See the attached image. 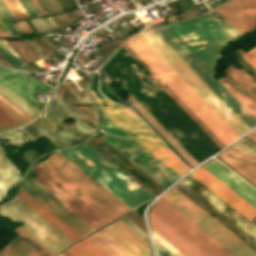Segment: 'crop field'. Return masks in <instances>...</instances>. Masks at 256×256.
<instances>
[{
    "instance_id": "31",
    "label": "crop field",
    "mask_w": 256,
    "mask_h": 256,
    "mask_svg": "<svg viewBox=\"0 0 256 256\" xmlns=\"http://www.w3.org/2000/svg\"><path fill=\"white\" fill-rule=\"evenodd\" d=\"M18 180L17 169L3 157L0 151V199L4 197L7 189Z\"/></svg>"
},
{
    "instance_id": "9",
    "label": "crop field",
    "mask_w": 256,
    "mask_h": 256,
    "mask_svg": "<svg viewBox=\"0 0 256 256\" xmlns=\"http://www.w3.org/2000/svg\"><path fill=\"white\" fill-rule=\"evenodd\" d=\"M141 35L153 48L178 72V74L203 98V100L228 124L240 137L248 132L232 114L199 82V80L166 48L151 32ZM150 45V46H151Z\"/></svg>"
},
{
    "instance_id": "45",
    "label": "crop field",
    "mask_w": 256,
    "mask_h": 256,
    "mask_svg": "<svg viewBox=\"0 0 256 256\" xmlns=\"http://www.w3.org/2000/svg\"><path fill=\"white\" fill-rule=\"evenodd\" d=\"M25 129L28 131V133L33 137V139H34L35 141L38 140V139H40L41 137H43V136L40 134V132H39L33 125H31V126L25 128Z\"/></svg>"
},
{
    "instance_id": "26",
    "label": "crop field",
    "mask_w": 256,
    "mask_h": 256,
    "mask_svg": "<svg viewBox=\"0 0 256 256\" xmlns=\"http://www.w3.org/2000/svg\"><path fill=\"white\" fill-rule=\"evenodd\" d=\"M17 196L25 201L28 205H30L34 210H36L39 214H41L73 241L82 237L50 210H48L45 206H43L40 202H38L34 197L27 193L24 189L21 188Z\"/></svg>"
},
{
    "instance_id": "39",
    "label": "crop field",
    "mask_w": 256,
    "mask_h": 256,
    "mask_svg": "<svg viewBox=\"0 0 256 256\" xmlns=\"http://www.w3.org/2000/svg\"><path fill=\"white\" fill-rule=\"evenodd\" d=\"M0 53L5 57V59L11 64L12 67L25 70L19 62L13 57V55L8 51V49L0 41ZM27 71V70H26Z\"/></svg>"
},
{
    "instance_id": "42",
    "label": "crop field",
    "mask_w": 256,
    "mask_h": 256,
    "mask_svg": "<svg viewBox=\"0 0 256 256\" xmlns=\"http://www.w3.org/2000/svg\"><path fill=\"white\" fill-rule=\"evenodd\" d=\"M152 234H153L154 239H156L159 243H161L163 246H165L173 254H175L176 256H184L182 253H180L178 250H176L173 246H171L169 243H167L164 239H162L155 232L152 231Z\"/></svg>"
},
{
    "instance_id": "22",
    "label": "crop field",
    "mask_w": 256,
    "mask_h": 256,
    "mask_svg": "<svg viewBox=\"0 0 256 256\" xmlns=\"http://www.w3.org/2000/svg\"><path fill=\"white\" fill-rule=\"evenodd\" d=\"M53 119V121L59 126L61 127L63 130L57 132V133H53L51 130L54 129V127H58L52 120L51 118L47 115V114ZM45 113V115L39 119L41 122H43L47 127V128L43 123H41L40 121L35 122L33 125L48 139L50 140L55 147H65V146H70L72 145L74 142H76L78 139L71 133V131L54 115V113L48 108L47 112ZM48 120L53 124V126L46 120L47 118ZM46 119H45V118Z\"/></svg>"
},
{
    "instance_id": "50",
    "label": "crop field",
    "mask_w": 256,
    "mask_h": 256,
    "mask_svg": "<svg viewBox=\"0 0 256 256\" xmlns=\"http://www.w3.org/2000/svg\"><path fill=\"white\" fill-rule=\"evenodd\" d=\"M65 256H74L71 252H69L67 249L61 252Z\"/></svg>"
},
{
    "instance_id": "51",
    "label": "crop field",
    "mask_w": 256,
    "mask_h": 256,
    "mask_svg": "<svg viewBox=\"0 0 256 256\" xmlns=\"http://www.w3.org/2000/svg\"><path fill=\"white\" fill-rule=\"evenodd\" d=\"M0 63L10 66L9 63L1 55H0Z\"/></svg>"
},
{
    "instance_id": "5",
    "label": "crop field",
    "mask_w": 256,
    "mask_h": 256,
    "mask_svg": "<svg viewBox=\"0 0 256 256\" xmlns=\"http://www.w3.org/2000/svg\"><path fill=\"white\" fill-rule=\"evenodd\" d=\"M169 28L214 73L220 51L233 41L209 15L176 23Z\"/></svg>"
},
{
    "instance_id": "21",
    "label": "crop field",
    "mask_w": 256,
    "mask_h": 256,
    "mask_svg": "<svg viewBox=\"0 0 256 256\" xmlns=\"http://www.w3.org/2000/svg\"><path fill=\"white\" fill-rule=\"evenodd\" d=\"M19 236L9 242L1 251L0 256H52L47 249L30 237L19 227L14 229Z\"/></svg>"
},
{
    "instance_id": "52",
    "label": "crop field",
    "mask_w": 256,
    "mask_h": 256,
    "mask_svg": "<svg viewBox=\"0 0 256 256\" xmlns=\"http://www.w3.org/2000/svg\"><path fill=\"white\" fill-rule=\"evenodd\" d=\"M248 136L256 141V130L254 132H252L251 134H249Z\"/></svg>"
},
{
    "instance_id": "8",
    "label": "crop field",
    "mask_w": 256,
    "mask_h": 256,
    "mask_svg": "<svg viewBox=\"0 0 256 256\" xmlns=\"http://www.w3.org/2000/svg\"><path fill=\"white\" fill-rule=\"evenodd\" d=\"M162 199L156 201L151 212L194 246L207 256H235Z\"/></svg>"
},
{
    "instance_id": "47",
    "label": "crop field",
    "mask_w": 256,
    "mask_h": 256,
    "mask_svg": "<svg viewBox=\"0 0 256 256\" xmlns=\"http://www.w3.org/2000/svg\"><path fill=\"white\" fill-rule=\"evenodd\" d=\"M0 99L5 102L8 106H10L13 110H15L17 113H19L22 117H24L26 120H28L29 122L32 120L31 118H29L27 115H25L23 112H21L19 109H17L16 107H14L12 104H10L9 102H7L5 99H3L2 97H0Z\"/></svg>"
},
{
    "instance_id": "17",
    "label": "crop field",
    "mask_w": 256,
    "mask_h": 256,
    "mask_svg": "<svg viewBox=\"0 0 256 256\" xmlns=\"http://www.w3.org/2000/svg\"><path fill=\"white\" fill-rule=\"evenodd\" d=\"M216 10L240 34L256 27V0H231Z\"/></svg>"
},
{
    "instance_id": "35",
    "label": "crop field",
    "mask_w": 256,
    "mask_h": 256,
    "mask_svg": "<svg viewBox=\"0 0 256 256\" xmlns=\"http://www.w3.org/2000/svg\"><path fill=\"white\" fill-rule=\"evenodd\" d=\"M103 229L113 236L117 241H119L123 246H125L129 251H131L135 256H147L111 224Z\"/></svg>"
},
{
    "instance_id": "25",
    "label": "crop field",
    "mask_w": 256,
    "mask_h": 256,
    "mask_svg": "<svg viewBox=\"0 0 256 256\" xmlns=\"http://www.w3.org/2000/svg\"><path fill=\"white\" fill-rule=\"evenodd\" d=\"M49 108L61 121L69 117L74 118L75 121L67 124V126L79 140L86 138L93 132L57 94H55Z\"/></svg>"
},
{
    "instance_id": "12",
    "label": "crop field",
    "mask_w": 256,
    "mask_h": 256,
    "mask_svg": "<svg viewBox=\"0 0 256 256\" xmlns=\"http://www.w3.org/2000/svg\"><path fill=\"white\" fill-rule=\"evenodd\" d=\"M218 81L256 119V83L243 71L232 64Z\"/></svg>"
},
{
    "instance_id": "46",
    "label": "crop field",
    "mask_w": 256,
    "mask_h": 256,
    "mask_svg": "<svg viewBox=\"0 0 256 256\" xmlns=\"http://www.w3.org/2000/svg\"><path fill=\"white\" fill-rule=\"evenodd\" d=\"M156 251H157V256H174L170 252H168L165 248H163L160 244H158L156 241H154Z\"/></svg>"
},
{
    "instance_id": "1",
    "label": "crop field",
    "mask_w": 256,
    "mask_h": 256,
    "mask_svg": "<svg viewBox=\"0 0 256 256\" xmlns=\"http://www.w3.org/2000/svg\"><path fill=\"white\" fill-rule=\"evenodd\" d=\"M101 113L175 171L181 177L189 168L177 160L168 148L144 125V123L129 110L102 98L107 107L100 102L99 98L91 90ZM103 116L101 131L106 142L133 162L137 167L154 179L165 189L177 181L180 176Z\"/></svg>"
},
{
    "instance_id": "33",
    "label": "crop field",
    "mask_w": 256,
    "mask_h": 256,
    "mask_svg": "<svg viewBox=\"0 0 256 256\" xmlns=\"http://www.w3.org/2000/svg\"><path fill=\"white\" fill-rule=\"evenodd\" d=\"M67 249L75 256H106L86 238Z\"/></svg>"
},
{
    "instance_id": "32",
    "label": "crop field",
    "mask_w": 256,
    "mask_h": 256,
    "mask_svg": "<svg viewBox=\"0 0 256 256\" xmlns=\"http://www.w3.org/2000/svg\"><path fill=\"white\" fill-rule=\"evenodd\" d=\"M0 94L33 119L41 111V110L34 107L32 104H30L29 102H27L23 98L19 97L18 95H16L15 93H13L12 91H10L9 89H7L6 87H4L1 84H0Z\"/></svg>"
},
{
    "instance_id": "7",
    "label": "crop field",
    "mask_w": 256,
    "mask_h": 256,
    "mask_svg": "<svg viewBox=\"0 0 256 256\" xmlns=\"http://www.w3.org/2000/svg\"><path fill=\"white\" fill-rule=\"evenodd\" d=\"M161 198L167 201L170 205L176 208L236 256H256V252L241 242L174 188L164 194Z\"/></svg>"
},
{
    "instance_id": "40",
    "label": "crop field",
    "mask_w": 256,
    "mask_h": 256,
    "mask_svg": "<svg viewBox=\"0 0 256 256\" xmlns=\"http://www.w3.org/2000/svg\"><path fill=\"white\" fill-rule=\"evenodd\" d=\"M29 17L39 16L40 13L30 0H18Z\"/></svg>"
},
{
    "instance_id": "43",
    "label": "crop field",
    "mask_w": 256,
    "mask_h": 256,
    "mask_svg": "<svg viewBox=\"0 0 256 256\" xmlns=\"http://www.w3.org/2000/svg\"><path fill=\"white\" fill-rule=\"evenodd\" d=\"M3 42V44L9 49V51L14 55V57L20 62V64L26 68L28 71L30 72H35L33 71L30 67H28L23 61L22 59L17 55V53L10 47V45L7 43L6 40H1Z\"/></svg>"
},
{
    "instance_id": "24",
    "label": "crop field",
    "mask_w": 256,
    "mask_h": 256,
    "mask_svg": "<svg viewBox=\"0 0 256 256\" xmlns=\"http://www.w3.org/2000/svg\"><path fill=\"white\" fill-rule=\"evenodd\" d=\"M56 93L94 130L97 118L88 97L79 100L63 82Z\"/></svg>"
},
{
    "instance_id": "30",
    "label": "crop field",
    "mask_w": 256,
    "mask_h": 256,
    "mask_svg": "<svg viewBox=\"0 0 256 256\" xmlns=\"http://www.w3.org/2000/svg\"><path fill=\"white\" fill-rule=\"evenodd\" d=\"M29 123L0 100V134Z\"/></svg>"
},
{
    "instance_id": "55",
    "label": "crop field",
    "mask_w": 256,
    "mask_h": 256,
    "mask_svg": "<svg viewBox=\"0 0 256 256\" xmlns=\"http://www.w3.org/2000/svg\"><path fill=\"white\" fill-rule=\"evenodd\" d=\"M57 256H63V255L60 253V254H58Z\"/></svg>"
},
{
    "instance_id": "4",
    "label": "crop field",
    "mask_w": 256,
    "mask_h": 256,
    "mask_svg": "<svg viewBox=\"0 0 256 256\" xmlns=\"http://www.w3.org/2000/svg\"><path fill=\"white\" fill-rule=\"evenodd\" d=\"M256 251V227L190 175L174 187Z\"/></svg>"
},
{
    "instance_id": "18",
    "label": "crop field",
    "mask_w": 256,
    "mask_h": 256,
    "mask_svg": "<svg viewBox=\"0 0 256 256\" xmlns=\"http://www.w3.org/2000/svg\"><path fill=\"white\" fill-rule=\"evenodd\" d=\"M0 83L41 110L44 107V104L40 103L32 95L37 91L46 93L49 88L38 82L37 79L29 76L27 73L0 68Z\"/></svg>"
},
{
    "instance_id": "6",
    "label": "crop field",
    "mask_w": 256,
    "mask_h": 256,
    "mask_svg": "<svg viewBox=\"0 0 256 256\" xmlns=\"http://www.w3.org/2000/svg\"><path fill=\"white\" fill-rule=\"evenodd\" d=\"M153 31L249 130L256 125V120L237 100L218 81L213 80L216 75L168 27L153 29Z\"/></svg>"
},
{
    "instance_id": "13",
    "label": "crop field",
    "mask_w": 256,
    "mask_h": 256,
    "mask_svg": "<svg viewBox=\"0 0 256 256\" xmlns=\"http://www.w3.org/2000/svg\"><path fill=\"white\" fill-rule=\"evenodd\" d=\"M21 187L82 236L94 230L31 178L23 180Z\"/></svg>"
},
{
    "instance_id": "3",
    "label": "crop field",
    "mask_w": 256,
    "mask_h": 256,
    "mask_svg": "<svg viewBox=\"0 0 256 256\" xmlns=\"http://www.w3.org/2000/svg\"><path fill=\"white\" fill-rule=\"evenodd\" d=\"M62 153L130 209L153 197L87 143Z\"/></svg>"
},
{
    "instance_id": "44",
    "label": "crop field",
    "mask_w": 256,
    "mask_h": 256,
    "mask_svg": "<svg viewBox=\"0 0 256 256\" xmlns=\"http://www.w3.org/2000/svg\"><path fill=\"white\" fill-rule=\"evenodd\" d=\"M121 220L125 222L133 231H135L143 240L148 243L146 235L142 233L137 227H135L129 220H127L125 217L121 218Z\"/></svg>"
},
{
    "instance_id": "14",
    "label": "crop field",
    "mask_w": 256,
    "mask_h": 256,
    "mask_svg": "<svg viewBox=\"0 0 256 256\" xmlns=\"http://www.w3.org/2000/svg\"><path fill=\"white\" fill-rule=\"evenodd\" d=\"M235 145L256 160V142L251 138L247 136ZM235 145L223 151L218 156L256 186V161Z\"/></svg>"
},
{
    "instance_id": "20",
    "label": "crop field",
    "mask_w": 256,
    "mask_h": 256,
    "mask_svg": "<svg viewBox=\"0 0 256 256\" xmlns=\"http://www.w3.org/2000/svg\"><path fill=\"white\" fill-rule=\"evenodd\" d=\"M256 208V191L215 159L202 166Z\"/></svg>"
},
{
    "instance_id": "49",
    "label": "crop field",
    "mask_w": 256,
    "mask_h": 256,
    "mask_svg": "<svg viewBox=\"0 0 256 256\" xmlns=\"http://www.w3.org/2000/svg\"><path fill=\"white\" fill-rule=\"evenodd\" d=\"M40 3L42 4V6L45 8V10L47 11L48 15H51L52 12L49 10V8L46 6V4L43 2V0H39Z\"/></svg>"
},
{
    "instance_id": "29",
    "label": "crop field",
    "mask_w": 256,
    "mask_h": 256,
    "mask_svg": "<svg viewBox=\"0 0 256 256\" xmlns=\"http://www.w3.org/2000/svg\"><path fill=\"white\" fill-rule=\"evenodd\" d=\"M11 202H13L16 206H18L21 210H23L27 215H29L32 219H34L37 223H39L42 227H44L47 231H49L53 236H55L66 246L69 243L73 242L62 232H60L56 227H54L51 223H49L46 219H44L41 215H39L36 211H34L30 206L23 202L20 198L16 197L15 199L11 200Z\"/></svg>"
},
{
    "instance_id": "48",
    "label": "crop field",
    "mask_w": 256,
    "mask_h": 256,
    "mask_svg": "<svg viewBox=\"0 0 256 256\" xmlns=\"http://www.w3.org/2000/svg\"><path fill=\"white\" fill-rule=\"evenodd\" d=\"M20 29L23 31L24 34H33L32 31L29 29L25 21L17 23Z\"/></svg>"
},
{
    "instance_id": "37",
    "label": "crop field",
    "mask_w": 256,
    "mask_h": 256,
    "mask_svg": "<svg viewBox=\"0 0 256 256\" xmlns=\"http://www.w3.org/2000/svg\"><path fill=\"white\" fill-rule=\"evenodd\" d=\"M15 20L28 17L17 0H2Z\"/></svg>"
},
{
    "instance_id": "28",
    "label": "crop field",
    "mask_w": 256,
    "mask_h": 256,
    "mask_svg": "<svg viewBox=\"0 0 256 256\" xmlns=\"http://www.w3.org/2000/svg\"><path fill=\"white\" fill-rule=\"evenodd\" d=\"M86 238L107 256H134L103 229Z\"/></svg>"
},
{
    "instance_id": "27",
    "label": "crop field",
    "mask_w": 256,
    "mask_h": 256,
    "mask_svg": "<svg viewBox=\"0 0 256 256\" xmlns=\"http://www.w3.org/2000/svg\"><path fill=\"white\" fill-rule=\"evenodd\" d=\"M139 64H141L151 77L169 94V96L204 130V132L222 149L225 146L212 134V132L187 108V106L162 82V80L137 56L125 43L122 46Z\"/></svg>"
},
{
    "instance_id": "19",
    "label": "crop field",
    "mask_w": 256,
    "mask_h": 256,
    "mask_svg": "<svg viewBox=\"0 0 256 256\" xmlns=\"http://www.w3.org/2000/svg\"><path fill=\"white\" fill-rule=\"evenodd\" d=\"M65 171H67L71 176L103 200L107 205L114 209L120 215L130 210L115 197L109 194L101 186L95 183L90 177H88L80 168H78L74 163L65 158L60 152L54 153L49 157Z\"/></svg>"
},
{
    "instance_id": "41",
    "label": "crop field",
    "mask_w": 256,
    "mask_h": 256,
    "mask_svg": "<svg viewBox=\"0 0 256 256\" xmlns=\"http://www.w3.org/2000/svg\"><path fill=\"white\" fill-rule=\"evenodd\" d=\"M238 52L251 64V66L256 70V47L246 53L242 49Z\"/></svg>"
},
{
    "instance_id": "2",
    "label": "crop field",
    "mask_w": 256,
    "mask_h": 256,
    "mask_svg": "<svg viewBox=\"0 0 256 256\" xmlns=\"http://www.w3.org/2000/svg\"><path fill=\"white\" fill-rule=\"evenodd\" d=\"M126 43L225 146L239 138L140 34Z\"/></svg>"
},
{
    "instance_id": "54",
    "label": "crop field",
    "mask_w": 256,
    "mask_h": 256,
    "mask_svg": "<svg viewBox=\"0 0 256 256\" xmlns=\"http://www.w3.org/2000/svg\"><path fill=\"white\" fill-rule=\"evenodd\" d=\"M0 36H6V34L4 33V31L1 29V27H0Z\"/></svg>"
},
{
    "instance_id": "15",
    "label": "crop field",
    "mask_w": 256,
    "mask_h": 256,
    "mask_svg": "<svg viewBox=\"0 0 256 256\" xmlns=\"http://www.w3.org/2000/svg\"><path fill=\"white\" fill-rule=\"evenodd\" d=\"M0 216L12 221H22L24 225L20 228L53 254L66 247L10 201L0 206Z\"/></svg>"
},
{
    "instance_id": "23",
    "label": "crop field",
    "mask_w": 256,
    "mask_h": 256,
    "mask_svg": "<svg viewBox=\"0 0 256 256\" xmlns=\"http://www.w3.org/2000/svg\"><path fill=\"white\" fill-rule=\"evenodd\" d=\"M150 226L185 256H206L152 213H150Z\"/></svg>"
},
{
    "instance_id": "11",
    "label": "crop field",
    "mask_w": 256,
    "mask_h": 256,
    "mask_svg": "<svg viewBox=\"0 0 256 256\" xmlns=\"http://www.w3.org/2000/svg\"><path fill=\"white\" fill-rule=\"evenodd\" d=\"M39 166H41L45 171L52 175L56 180L63 184L108 222L120 216L49 158L47 161L39 164Z\"/></svg>"
},
{
    "instance_id": "34",
    "label": "crop field",
    "mask_w": 256,
    "mask_h": 256,
    "mask_svg": "<svg viewBox=\"0 0 256 256\" xmlns=\"http://www.w3.org/2000/svg\"><path fill=\"white\" fill-rule=\"evenodd\" d=\"M111 224L115 226L121 233H123L129 240H131L137 247H139L145 254L148 256L150 255L148 244L120 219Z\"/></svg>"
},
{
    "instance_id": "16",
    "label": "crop field",
    "mask_w": 256,
    "mask_h": 256,
    "mask_svg": "<svg viewBox=\"0 0 256 256\" xmlns=\"http://www.w3.org/2000/svg\"><path fill=\"white\" fill-rule=\"evenodd\" d=\"M190 175L249 221L256 215V209L254 207H252L249 203L243 200L240 196L230 190L202 167Z\"/></svg>"
},
{
    "instance_id": "38",
    "label": "crop field",
    "mask_w": 256,
    "mask_h": 256,
    "mask_svg": "<svg viewBox=\"0 0 256 256\" xmlns=\"http://www.w3.org/2000/svg\"><path fill=\"white\" fill-rule=\"evenodd\" d=\"M0 20L6 27V29L9 31V33L12 35H18L13 28L7 23L11 21H15L14 18L11 16L7 8L4 6L2 1L0 0Z\"/></svg>"
},
{
    "instance_id": "36",
    "label": "crop field",
    "mask_w": 256,
    "mask_h": 256,
    "mask_svg": "<svg viewBox=\"0 0 256 256\" xmlns=\"http://www.w3.org/2000/svg\"><path fill=\"white\" fill-rule=\"evenodd\" d=\"M209 15L233 40L240 35L216 10L210 12Z\"/></svg>"
},
{
    "instance_id": "56",
    "label": "crop field",
    "mask_w": 256,
    "mask_h": 256,
    "mask_svg": "<svg viewBox=\"0 0 256 256\" xmlns=\"http://www.w3.org/2000/svg\"><path fill=\"white\" fill-rule=\"evenodd\" d=\"M254 222L256 223V220Z\"/></svg>"
},
{
    "instance_id": "10",
    "label": "crop field",
    "mask_w": 256,
    "mask_h": 256,
    "mask_svg": "<svg viewBox=\"0 0 256 256\" xmlns=\"http://www.w3.org/2000/svg\"><path fill=\"white\" fill-rule=\"evenodd\" d=\"M31 170L38 176L34 178L37 183L87 222L91 227L96 229L108 223L63 185L56 181L52 176L45 172L41 167L36 165L32 167Z\"/></svg>"
},
{
    "instance_id": "53",
    "label": "crop field",
    "mask_w": 256,
    "mask_h": 256,
    "mask_svg": "<svg viewBox=\"0 0 256 256\" xmlns=\"http://www.w3.org/2000/svg\"><path fill=\"white\" fill-rule=\"evenodd\" d=\"M0 25H1V27L3 28V30L5 31V33L7 34V36H10V34H9L8 31L5 29V27L3 26V24L1 23V21H0Z\"/></svg>"
}]
</instances>
